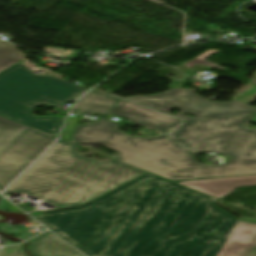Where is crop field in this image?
<instances>
[{
  "instance_id": "1",
  "label": "crop field",
  "mask_w": 256,
  "mask_h": 256,
  "mask_svg": "<svg viewBox=\"0 0 256 256\" xmlns=\"http://www.w3.org/2000/svg\"><path fill=\"white\" fill-rule=\"evenodd\" d=\"M215 199L147 174L83 207L33 215L88 256H216L237 219Z\"/></svg>"
},
{
  "instance_id": "2",
  "label": "crop field",
  "mask_w": 256,
  "mask_h": 256,
  "mask_svg": "<svg viewBox=\"0 0 256 256\" xmlns=\"http://www.w3.org/2000/svg\"><path fill=\"white\" fill-rule=\"evenodd\" d=\"M254 114L186 122L172 136L194 155L231 156L225 165H201L167 137L127 164L172 181L256 174V131L245 128Z\"/></svg>"
},
{
  "instance_id": "3",
  "label": "crop field",
  "mask_w": 256,
  "mask_h": 256,
  "mask_svg": "<svg viewBox=\"0 0 256 256\" xmlns=\"http://www.w3.org/2000/svg\"><path fill=\"white\" fill-rule=\"evenodd\" d=\"M144 173L117 160L84 158L75 145L59 139L3 194L20 192L63 208L84 204Z\"/></svg>"
},
{
  "instance_id": "4",
  "label": "crop field",
  "mask_w": 256,
  "mask_h": 256,
  "mask_svg": "<svg viewBox=\"0 0 256 256\" xmlns=\"http://www.w3.org/2000/svg\"><path fill=\"white\" fill-rule=\"evenodd\" d=\"M84 92L61 79L33 72L24 60L0 72V115L56 136L63 119L37 118L33 109L75 102Z\"/></svg>"
},
{
  "instance_id": "5",
  "label": "crop field",
  "mask_w": 256,
  "mask_h": 256,
  "mask_svg": "<svg viewBox=\"0 0 256 256\" xmlns=\"http://www.w3.org/2000/svg\"><path fill=\"white\" fill-rule=\"evenodd\" d=\"M109 114L159 132V135L155 138L131 137L116 128L117 122L98 119L89 124L78 125L70 142L102 145L116 152L114 159L126 163L169 136L167 131L180 124V121L172 117L123 100Z\"/></svg>"
},
{
  "instance_id": "6",
  "label": "crop field",
  "mask_w": 256,
  "mask_h": 256,
  "mask_svg": "<svg viewBox=\"0 0 256 256\" xmlns=\"http://www.w3.org/2000/svg\"><path fill=\"white\" fill-rule=\"evenodd\" d=\"M250 82L256 85V79H253ZM193 92L194 91L190 89H174L155 96L130 97L127 99L166 114H168L167 111L170 109L179 108L182 112L174 117L185 121L256 112V107L238 101L217 103L205 100ZM183 113L195 115L197 117L192 118L181 115Z\"/></svg>"
},
{
  "instance_id": "7",
  "label": "crop field",
  "mask_w": 256,
  "mask_h": 256,
  "mask_svg": "<svg viewBox=\"0 0 256 256\" xmlns=\"http://www.w3.org/2000/svg\"><path fill=\"white\" fill-rule=\"evenodd\" d=\"M54 137L26 127L0 152V191L32 163Z\"/></svg>"
},
{
  "instance_id": "8",
  "label": "crop field",
  "mask_w": 256,
  "mask_h": 256,
  "mask_svg": "<svg viewBox=\"0 0 256 256\" xmlns=\"http://www.w3.org/2000/svg\"><path fill=\"white\" fill-rule=\"evenodd\" d=\"M184 186L200 191L217 199H220L233 192L236 187L256 185V175L219 178L197 181L178 182Z\"/></svg>"
},
{
  "instance_id": "9",
  "label": "crop field",
  "mask_w": 256,
  "mask_h": 256,
  "mask_svg": "<svg viewBox=\"0 0 256 256\" xmlns=\"http://www.w3.org/2000/svg\"><path fill=\"white\" fill-rule=\"evenodd\" d=\"M256 248V224L238 221L217 256H246Z\"/></svg>"
},
{
  "instance_id": "10",
  "label": "crop field",
  "mask_w": 256,
  "mask_h": 256,
  "mask_svg": "<svg viewBox=\"0 0 256 256\" xmlns=\"http://www.w3.org/2000/svg\"><path fill=\"white\" fill-rule=\"evenodd\" d=\"M30 250L34 256H83L50 231L31 239Z\"/></svg>"
},
{
  "instance_id": "11",
  "label": "crop field",
  "mask_w": 256,
  "mask_h": 256,
  "mask_svg": "<svg viewBox=\"0 0 256 256\" xmlns=\"http://www.w3.org/2000/svg\"><path fill=\"white\" fill-rule=\"evenodd\" d=\"M118 100L119 98L108 93L90 91L77 101L71 112L105 116Z\"/></svg>"
},
{
  "instance_id": "12",
  "label": "crop field",
  "mask_w": 256,
  "mask_h": 256,
  "mask_svg": "<svg viewBox=\"0 0 256 256\" xmlns=\"http://www.w3.org/2000/svg\"><path fill=\"white\" fill-rule=\"evenodd\" d=\"M27 58L13 45L0 41V71Z\"/></svg>"
},
{
  "instance_id": "13",
  "label": "crop field",
  "mask_w": 256,
  "mask_h": 256,
  "mask_svg": "<svg viewBox=\"0 0 256 256\" xmlns=\"http://www.w3.org/2000/svg\"><path fill=\"white\" fill-rule=\"evenodd\" d=\"M26 126L0 117V151L12 141Z\"/></svg>"
},
{
  "instance_id": "14",
  "label": "crop field",
  "mask_w": 256,
  "mask_h": 256,
  "mask_svg": "<svg viewBox=\"0 0 256 256\" xmlns=\"http://www.w3.org/2000/svg\"><path fill=\"white\" fill-rule=\"evenodd\" d=\"M78 121L79 118H69L60 138L69 142L77 126Z\"/></svg>"
},
{
  "instance_id": "15",
  "label": "crop field",
  "mask_w": 256,
  "mask_h": 256,
  "mask_svg": "<svg viewBox=\"0 0 256 256\" xmlns=\"http://www.w3.org/2000/svg\"><path fill=\"white\" fill-rule=\"evenodd\" d=\"M217 52H219V51L210 50V51L206 52L205 54H203V55H201V56L199 55L200 57H198V58H196L195 60L189 62V63L186 64L185 66H187V67L190 68V67L196 65L197 63H199V64H206V65H209V66H213V67H216V68L225 70L224 68H222V67H220V66H218V65H215V64H213V63H211V62L205 60V59L208 58L210 55H212L213 53H217Z\"/></svg>"
},
{
  "instance_id": "16",
  "label": "crop field",
  "mask_w": 256,
  "mask_h": 256,
  "mask_svg": "<svg viewBox=\"0 0 256 256\" xmlns=\"http://www.w3.org/2000/svg\"><path fill=\"white\" fill-rule=\"evenodd\" d=\"M201 233L206 236H211V237L227 238L230 231L215 228V227H208V228L204 229L203 231H201Z\"/></svg>"
},
{
  "instance_id": "17",
  "label": "crop field",
  "mask_w": 256,
  "mask_h": 256,
  "mask_svg": "<svg viewBox=\"0 0 256 256\" xmlns=\"http://www.w3.org/2000/svg\"><path fill=\"white\" fill-rule=\"evenodd\" d=\"M20 245L13 247H5L1 252L0 256H23Z\"/></svg>"
},
{
  "instance_id": "18",
  "label": "crop field",
  "mask_w": 256,
  "mask_h": 256,
  "mask_svg": "<svg viewBox=\"0 0 256 256\" xmlns=\"http://www.w3.org/2000/svg\"><path fill=\"white\" fill-rule=\"evenodd\" d=\"M0 210L11 211V212H21L19 209H17L15 206L10 204L8 201H6L2 197H0Z\"/></svg>"
},
{
  "instance_id": "19",
  "label": "crop field",
  "mask_w": 256,
  "mask_h": 256,
  "mask_svg": "<svg viewBox=\"0 0 256 256\" xmlns=\"http://www.w3.org/2000/svg\"><path fill=\"white\" fill-rule=\"evenodd\" d=\"M242 220H246V221H251V222H256V219L254 218H240Z\"/></svg>"
},
{
  "instance_id": "20",
  "label": "crop field",
  "mask_w": 256,
  "mask_h": 256,
  "mask_svg": "<svg viewBox=\"0 0 256 256\" xmlns=\"http://www.w3.org/2000/svg\"><path fill=\"white\" fill-rule=\"evenodd\" d=\"M0 219H3V218L0 216Z\"/></svg>"
}]
</instances>
